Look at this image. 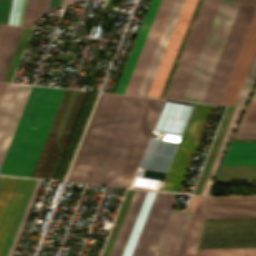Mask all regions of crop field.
Wrapping results in <instances>:
<instances>
[{"label":"crop field","mask_w":256,"mask_h":256,"mask_svg":"<svg viewBox=\"0 0 256 256\" xmlns=\"http://www.w3.org/2000/svg\"><path fill=\"white\" fill-rule=\"evenodd\" d=\"M163 102L101 94L68 180L129 187Z\"/></svg>","instance_id":"crop-field-1"},{"label":"crop field","mask_w":256,"mask_h":256,"mask_svg":"<svg viewBox=\"0 0 256 256\" xmlns=\"http://www.w3.org/2000/svg\"><path fill=\"white\" fill-rule=\"evenodd\" d=\"M64 91L32 87L0 174L31 176Z\"/></svg>","instance_id":"crop-field-2"},{"label":"crop field","mask_w":256,"mask_h":256,"mask_svg":"<svg viewBox=\"0 0 256 256\" xmlns=\"http://www.w3.org/2000/svg\"><path fill=\"white\" fill-rule=\"evenodd\" d=\"M177 195L135 190L109 256H153Z\"/></svg>","instance_id":"crop-field-3"},{"label":"crop field","mask_w":256,"mask_h":256,"mask_svg":"<svg viewBox=\"0 0 256 256\" xmlns=\"http://www.w3.org/2000/svg\"><path fill=\"white\" fill-rule=\"evenodd\" d=\"M255 7L240 4L201 102L218 103Z\"/></svg>","instance_id":"crop-field-4"},{"label":"crop field","mask_w":256,"mask_h":256,"mask_svg":"<svg viewBox=\"0 0 256 256\" xmlns=\"http://www.w3.org/2000/svg\"><path fill=\"white\" fill-rule=\"evenodd\" d=\"M256 248V218L206 219L199 249Z\"/></svg>","instance_id":"crop-field-5"},{"label":"crop field","mask_w":256,"mask_h":256,"mask_svg":"<svg viewBox=\"0 0 256 256\" xmlns=\"http://www.w3.org/2000/svg\"><path fill=\"white\" fill-rule=\"evenodd\" d=\"M220 0H204L165 98L180 100Z\"/></svg>","instance_id":"crop-field-6"},{"label":"crop field","mask_w":256,"mask_h":256,"mask_svg":"<svg viewBox=\"0 0 256 256\" xmlns=\"http://www.w3.org/2000/svg\"><path fill=\"white\" fill-rule=\"evenodd\" d=\"M212 106L209 104H195L161 190L179 191Z\"/></svg>","instance_id":"crop-field-7"},{"label":"crop field","mask_w":256,"mask_h":256,"mask_svg":"<svg viewBox=\"0 0 256 256\" xmlns=\"http://www.w3.org/2000/svg\"><path fill=\"white\" fill-rule=\"evenodd\" d=\"M234 4L220 1L181 100H196Z\"/></svg>","instance_id":"crop-field-8"},{"label":"crop field","mask_w":256,"mask_h":256,"mask_svg":"<svg viewBox=\"0 0 256 256\" xmlns=\"http://www.w3.org/2000/svg\"><path fill=\"white\" fill-rule=\"evenodd\" d=\"M174 0H160L123 94L136 95ZM142 85V84H141ZM140 90V89H139ZM138 95V94H137Z\"/></svg>","instance_id":"crop-field-9"},{"label":"crop field","mask_w":256,"mask_h":256,"mask_svg":"<svg viewBox=\"0 0 256 256\" xmlns=\"http://www.w3.org/2000/svg\"><path fill=\"white\" fill-rule=\"evenodd\" d=\"M32 86L8 84L0 103V166Z\"/></svg>","instance_id":"crop-field-10"},{"label":"crop field","mask_w":256,"mask_h":256,"mask_svg":"<svg viewBox=\"0 0 256 256\" xmlns=\"http://www.w3.org/2000/svg\"><path fill=\"white\" fill-rule=\"evenodd\" d=\"M197 0H185L146 96L158 98Z\"/></svg>","instance_id":"crop-field-11"},{"label":"crop field","mask_w":256,"mask_h":256,"mask_svg":"<svg viewBox=\"0 0 256 256\" xmlns=\"http://www.w3.org/2000/svg\"><path fill=\"white\" fill-rule=\"evenodd\" d=\"M255 50L256 9L218 104H234Z\"/></svg>","instance_id":"crop-field-12"},{"label":"crop field","mask_w":256,"mask_h":256,"mask_svg":"<svg viewBox=\"0 0 256 256\" xmlns=\"http://www.w3.org/2000/svg\"><path fill=\"white\" fill-rule=\"evenodd\" d=\"M28 180L0 176V251Z\"/></svg>","instance_id":"crop-field-13"},{"label":"crop field","mask_w":256,"mask_h":256,"mask_svg":"<svg viewBox=\"0 0 256 256\" xmlns=\"http://www.w3.org/2000/svg\"><path fill=\"white\" fill-rule=\"evenodd\" d=\"M191 214L172 211L154 256H175Z\"/></svg>","instance_id":"crop-field-14"},{"label":"crop field","mask_w":256,"mask_h":256,"mask_svg":"<svg viewBox=\"0 0 256 256\" xmlns=\"http://www.w3.org/2000/svg\"><path fill=\"white\" fill-rule=\"evenodd\" d=\"M209 197H199L176 256H196Z\"/></svg>","instance_id":"crop-field-15"},{"label":"crop field","mask_w":256,"mask_h":256,"mask_svg":"<svg viewBox=\"0 0 256 256\" xmlns=\"http://www.w3.org/2000/svg\"><path fill=\"white\" fill-rule=\"evenodd\" d=\"M184 0H175L138 95L145 96Z\"/></svg>","instance_id":"crop-field-16"},{"label":"crop field","mask_w":256,"mask_h":256,"mask_svg":"<svg viewBox=\"0 0 256 256\" xmlns=\"http://www.w3.org/2000/svg\"><path fill=\"white\" fill-rule=\"evenodd\" d=\"M158 3H159V0H152V2L150 4V7L148 9V12L146 14V17L144 19V22L142 24V27H141L140 32L138 34V37L136 39L135 45L133 47V50L131 52V55L129 57V60L127 62V65L125 67V70L123 72V75L121 77V80L119 82V85H118L117 90H116L115 93L122 94L123 91H124V88L126 86L128 78H129L130 73L132 71V68H133L134 63L136 61V58L138 56V53L140 51V48L142 46L143 40L145 38V35L147 33V30L149 28V25L151 23V20L153 18V15L155 13V10L157 8Z\"/></svg>","instance_id":"crop-field-17"},{"label":"crop field","mask_w":256,"mask_h":256,"mask_svg":"<svg viewBox=\"0 0 256 256\" xmlns=\"http://www.w3.org/2000/svg\"><path fill=\"white\" fill-rule=\"evenodd\" d=\"M256 217V203L210 204L206 218Z\"/></svg>","instance_id":"crop-field-18"},{"label":"crop field","mask_w":256,"mask_h":256,"mask_svg":"<svg viewBox=\"0 0 256 256\" xmlns=\"http://www.w3.org/2000/svg\"><path fill=\"white\" fill-rule=\"evenodd\" d=\"M221 164H256V141H231Z\"/></svg>","instance_id":"crop-field-19"},{"label":"crop field","mask_w":256,"mask_h":256,"mask_svg":"<svg viewBox=\"0 0 256 256\" xmlns=\"http://www.w3.org/2000/svg\"><path fill=\"white\" fill-rule=\"evenodd\" d=\"M36 2L37 0H12L7 24L31 27Z\"/></svg>","instance_id":"crop-field-20"},{"label":"crop field","mask_w":256,"mask_h":256,"mask_svg":"<svg viewBox=\"0 0 256 256\" xmlns=\"http://www.w3.org/2000/svg\"><path fill=\"white\" fill-rule=\"evenodd\" d=\"M244 110H245L244 108H237V107L234 110V113L232 115V118L230 120L228 128L226 130V133H225L224 138L222 140V143L220 145L219 151L217 153V156L215 158V161L213 163V166L211 168V171L209 173V176L207 178V181H206L205 186L203 188V191L201 193L202 195H209L210 187H211V184H212L213 179L215 177L217 167H218V165L221 161V158H222V156H223V154L226 150V147H227V145H228V143H229V141H230V139H231V137H232V135L235 131V128H236Z\"/></svg>","instance_id":"crop-field-21"},{"label":"crop field","mask_w":256,"mask_h":256,"mask_svg":"<svg viewBox=\"0 0 256 256\" xmlns=\"http://www.w3.org/2000/svg\"><path fill=\"white\" fill-rule=\"evenodd\" d=\"M235 138H256V91L250 101Z\"/></svg>","instance_id":"crop-field-22"},{"label":"crop field","mask_w":256,"mask_h":256,"mask_svg":"<svg viewBox=\"0 0 256 256\" xmlns=\"http://www.w3.org/2000/svg\"><path fill=\"white\" fill-rule=\"evenodd\" d=\"M256 78V52L234 105L244 106Z\"/></svg>","instance_id":"crop-field-23"},{"label":"crop field","mask_w":256,"mask_h":256,"mask_svg":"<svg viewBox=\"0 0 256 256\" xmlns=\"http://www.w3.org/2000/svg\"><path fill=\"white\" fill-rule=\"evenodd\" d=\"M238 6H239V3H236L235 6H234V9H233L232 14H231V16H230V19H229V21H228V24H227V26H226V28H225V31H224V33H223V36H222V38H221V41H220V43H219V46H218V48H217V51H216V53H215V56H214L213 61H212V63H211V66H210V68H209V71H208V73H207V76H206V78H205V80H204V83H203V85H202V88H201V90H200V93H199V95H198V98H197V100H196V101H198V102H200L201 99H202V96H203V94H204V91H205V89H206V86H207V84H208V81H209V79H210V76H211L212 71H213V69H214V66H215V64H216V61H217L218 56H219V53H220V51H221V48H222V46H223V43H224V41H225V38H226V36H227V33H228V31H229V28H230V26H231V23H232V21H233V18H234V16H235V13H236V11H237Z\"/></svg>","instance_id":"crop-field-24"},{"label":"crop field","mask_w":256,"mask_h":256,"mask_svg":"<svg viewBox=\"0 0 256 256\" xmlns=\"http://www.w3.org/2000/svg\"><path fill=\"white\" fill-rule=\"evenodd\" d=\"M256 256V249L199 250L198 256Z\"/></svg>","instance_id":"crop-field-25"},{"label":"crop field","mask_w":256,"mask_h":256,"mask_svg":"<svg viewBox=\"0 0 256 256\" xmlns=\"http://www.w3.org/2000/svg\"><path fill=\"white\" fill-rule=\"evenodd\" d=\"M41 181H42V180H38V181H37V183H36V185H35V188H34L32 194H31V197H30L29 202H28V204H27L26 210H25V212H24V215H23V217H22V220H21V222H20V225H19V227H18V230H17V232H16V234H15V237H14L12 246H11V248H10V251H9V253H8V256H12V253H13V251H14V248H15V246H16V243H17L18 238H19L20 233H21L20 231H22V228H23V226H24V223H25V221H26V219H27V216H28V214H29V212H30V210H31V207H32V205H33V203H34V200H35V197H36V195H37V192H38L39 186H40V184H41Z\"/></svg>","instance_id":"crop-field-26"},{"label":"crop field","mask_w":256,"mask_h":256,"mask_svg":"<svg viewBox=\"0 0 256 256\" xmlns=\"http://www.w3.org/2000/svg\"><path fill=\"white\" fill-rule=\"evenodd\" d=\"M16 27L0 25V65Z\"/></svg>","instance_id":"crop-field-27"},{"label":"crop field","mask_w":256,"mask_h":256,"mask_svg":"<svg viewBox=\"0 0 256 256\" xmlns=\"http://www.w3.org/2000/svg\"><path fill=\"white\" fill-rule=\"evenodd\" d=\"M22 29H23V28L17 27L16 30H15V33H14V35H13V38H12V40H11V43H10V45H9V48H8V50H7V53H6V55H5V58H4V60H3V63H2V65H1V68H0V82H1L2 79H3V76H4V74H5V71H6V69H7V66H8V64H9V61H10V59H11V56H12V54H13V51H14V49H15V46H16V44H17V41H18V39H19V36H20V34H21Z\"/></svg>","instance_id":"crop-field-28"},{"label":"crop field","mask_w":256,"mask_h":256,"mask_svg":"<svg viewBox=\"0 0 256 256\" xmlns=\"http://www.w3.org/2000/svg\"><path fill=\"white\" fill-rule=\"evenodd\" d=\"M48 3H49V0H38L34 22H35L39 13L44 12V11L47 10ZM59 4H60V0H50L48 10L52 9V8H55V7H58Z\"/></svg>","instance_id":"crop-field-29"},{"label":"crop field","mask_w":256,"mask_h":256,"mask_svg":"<svg viewBox=\"0 0 256 256\" xmlns=\"http://www.w3.org/2000/svg\"><path fill=\"white\" fill-rule=\"evenodd\" d=\"M11 0H0V23L7 22Z\"/></svg>","instance_id":"crop-field-30"},{"label":"crop field","mask_w":256,"mask_h":256,"mask_svg":"<svg viewBox=\"0 0 256 256\" xmlns=\"http://www.w3.org/2000/svg\"><path fill=\"white\" fill-rule=\"evenodd\" d=\"M6 85H7V84H1V83H0V100H1V97H2V95H3V92H4V90H5Z\"/></svg>","instance_id":"crop-field-31"},{"label":"crop field","mask_w":256,"mask_h":256,"mask_svg":"<svg viewBox=\"0 0 256 256\" xmlns=\"http://www.w3.org/2000/svg\"><path fill=\"white\" fill-rule=\"evenodd\" d=\"M234 1H239V2H244V3H250V4H256V0H234Z\"/></svg>","instance_id":"crop-field-32"}]
</instances>
